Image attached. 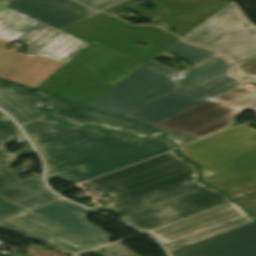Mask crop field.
<instances>
[{"label":"crop field","instance_id":"8a807250","mask_svg":"<svg viewBox=\"0 0 256 256\" xmlns=\"http://www.w3.org/2000/svg\"><path fill=\"white\" fill-rule=\"evenodd\" d=\"M40 101L22 88L0 84V107L22 125L44 156L48 181L58 177L74 185L172 148L169 141L157 138L162 135L159 132L141 141L121 138L116 133L97 134V129L57 128L58 121L44 120L48 116L36 104Z\"/></svg>","mask_w":256,"mask_h":256},{"label":"crop field","instance_id":"ac0d7876","mask_svg":"<svg viewBox=\"0 0 256 256\" xmlns=\"http://www.w3.org/2000/svg\"><path fill=\"white\" fill-rule=\"evenodd\" d=\"M61 31L90 45L36 89L86 105L178 40L104 13ZM142 41L149 46L135 45Z\"/></svg>","mask_w":256,"mask_h":256},{"label":"crop field","instance_id":"34b2d1b8","mask_svg":"<svg viewBox=\"0 0 256 256\" xmlns=\"http://www.w3.org/2000/svg\"><path fill=\"white\" fill-rule=\"evenodd\" d=\"M235 75L256 79V55L235 65ZM232 68L213 74L172 92L123 116L149 123L197 139L228 128L236 116L256 102V86H241L246 81L231 74Z\"/></svg>","mask_w":256,"mask_h":256},{"label":"crop field","instance_id":"412701ff","mask_svg":"<svg viewBox=\"0 0 256 256\" xmlns=\"http://www.w3.org/2000/svg\"><path fill=\"white\" fill-rule=\"evenodd\" d=\"M229 201L226 195L198 182L196 168L118 195L96 210L120 213L146 231Z\"/></svg>","mask_w":256,"mask_h":256},{"label":"crop field","instance_id":"f4fd0767","mask_svg":"<svg viewBox=\"0 0 256 256\" xmlns=\"http://www.w3.org/2000/svg\"><path fill=\"white\" fill-rule=\"evenodd\" d=\"M201 165L203 180L236 198L256 191V129L247 125L179 149Z\"/></svg>","mask_w":256,"mask_h":256},{"label":"crop field","instance_id":"dd49c442","mask_svg":"<svg viewBox=\"0 0 256 256\" xmlns=\"http://www.w3.org/2000/svg\"><path fill=\"white\" fill-rule=\"evenodd\" d=\"M159 55L169 59L175 57L164 52ZM158 56L111 88L89 106L122 115L172 91L229 67L224 60L217 56L190 68L183 73V75H185L183 78L175 80L174 78L179 76L184 70L178 68L168 69L153 62ZM192 63L196 64V62Z\"/></svg>","mask_w":256,"mask_h":256},{"label":"crop field","instance_id":"e52e79f7","mask_svg":"<svg viewBox=\"0 0 256 256\" xmlns=\"http://www.w3.org/2000/svg\"><path fill=\"white\" fill-rule=\"evenodd\" d=\"M181 39L219 53L231 65L256 54V26L234 1Z\"/></svg>","mask_w":256,"mask_h":256},{"label":"crop field","instance_id":"d8731c3e","mask_svg":"<svg viewBox=\"0 0 256 256\" xmlns=\"http://www.w3.org/2000/svg\"><path fill=\"white\" fill-rule=\"evenodd\" d=\"M0 38L33 45L27 50L68 62L88 44L8 8L0 12Z\"/></svg>","mask_w":256,"mask_h":256},{"label":"crop field","instance_id":"5a996713","mask_svg":"<svg viewBox=\"0 0 256 256\" xmlns=\"http://www.w3.org/2000/svg\"><path fill=\"white\" fill-rule=\"evenodd\" d=\"M36 93L42 95L43 98L48 100L46 103L49 105L48 109L55 110V112L48 114L52 115L54 118L62 119L69 123L80 126L92 124L94 126H100L102 129L116 130L141 138L145 137L150 131L158 129L165 132L167 134L165 138L173 140L177 146L197 140L47 93L40 91Z\"/></svg>","mask_w":256,"mask_h":256},{"label":"crop field","instance_id":"3316defc","mask_svg":"<svg viewBox=\"0 0 256 256\" xmlns=\"http://www.w3.org/2000/svg\"><path fill=\"white\" fill-rule=\"evenodd\" d=\"M191 168H194L192 163L170 152L85 183L92 187L88 190L97 194L111 192L118 195Z\"/></svg>","mask_w":256,"mask_h":256},{"label":"crop field","instance_id":"28ad6ade","mask_svg":"<svg viewBox=\"0 0 256 256\" xmlns=\"http://www.w3.org/2000/svg\"><path fill=\"white\" fill-rule=\"evenodd\" d=\"M0 228L22 234L71 256L101 246L29 212L1 221Z\"/></svg>","mask_w":256,"mask_h":256},{"label":"crop field","instance_id":"d1516ede","mask_svg":"<svg viewBox=\"0 0 256 256\" xmlns=\"http://www.w3.org/2000/svg\"><path fill=\"white\" fill-rule=\"evenodd\" d=\"M240 207L255 222L173 251L171 255L256 256V210Z\"/></svg>","mask_w":256,"mask_h":256},{"label":"crop field","instance_id":"22f410ed","mask_svg":"<svg viewBox=\"0 0 256 256\" xmlns=\"http://www.w3.org/2000/svg\"><path fill=\"white\" fill-rule=\"evenodd\" d=\"M243 216L246 214L241 208L229 201L146 232L161 242L170 244Z\"/></svg>","mask_w":256,"mask_h":256},{"label":"crop field","instance_id":"cbeb9de0","mask_svg":"<svg viewBox=\"0 0 256 256\" xmlns=\"http://www.w3.org/2000/svg\"><path fill=\"white\" fill-rule=\"evenodd\" d=\"M3 3L58 30L100 13L72 0H3Z\"/></svg>","mask_w":256,"mask_h":256},{"label":"crop field","instance_id":"5142ce71","mask_svg":"<svg viewBox=\"0 0 256 256\" xmlns=\"http://www.w3.org/2000/svg\"><path fill=\"white\" fill-rule=\"evenodd\" d=\"M0 40V77L36 88L64 63L35 55L33 57L3 49Z\"/></svg>","mask_w":256,"mask_h":256},{"label":"crop field","instance_id":"d9b57169","mask_svg":"<svg viewBox=\"0 0 256 256\" xmlns=\"http://www.w3.org/2000/svg\"><path fill=\"white\" fill-rule=\"evenodd\" d=\"M65 201L58 200L29 212L64 227L98 245L104 246L110 243L108 241L109 235L85 220L84 214L89 210Z\"/></svg>","mask_w":256,"mask_h":256},{"label":"crop field","instance_id":"733c2abd","mask_svg":"<svg viewBox=\"0 0 256 256\" xmlns=\"http://www.w3.org/2000/svg\"><path fill=\"white\" fill-rule=\"evenodd\" d=\"M230 1L232 0H184L179 2L184 10L174 12L157 22L167 25L164 29L171 26L181 29L175 32L166 30L182 37Z\"/></svg>","mask_w":256,"mask_h":256},{"label":"crop field","instance_id":"4a817a6b","mask_svg":"<svg viewBox=\"0 0 256 256\" xmlns=\"http://www.w3.org/2000/svg\"><path fill=\"white\" fill-rule=\"evenodd\" d=\"M0 198L24 210L58 199L42 186L41 177L0 190Z\"/></svg>","mask_w":256,"mask_h":256},{"label":"crop field","instance_id":"bc2a9ffb","mask_svg":"<svg viewBox=\"0 0 256 256\" xmlns=\"http://www.w3.org/2000/svg\"><path fill=\"white\" fill-rule=\"evenodd\" d=\"M250 222H253V220L250 219L248 216H246V217H243V218H241V219L232 221V222H230V223L221 225V226H219V227L210 229V230H208V231H205V232L196 234V235H194V236L185 238V239H183V240L177 241V242H175V243H172V244H170V245H167L166 247H167V249L169 250V252H171V251H173V250L179 249V248H181V247H184V246H187V245H189V244L195 243V242H197V241L203 240V239H205V238L214 236V235H216V234H219V233L228 231V230H230V229H233V228H236V227L245 225V224L250 223Z\"/></svg>","mask_w":256,"mask_h":256},{"label":"crop field","instance_id":"214f88e0","mask_svg":"<svg viewBox=\"0 0 256 256\" xmlns=\"http://www.w3.org/2000/svg\"><path fill=\"white\" fill-rule=\"evenodd\" d=\"M151 3L155 4L157 8L147 9L140 4H135L132 6L131 10L151 19L156 22L160 17L167 16L170 13L183 9L175 0H149Z\"/></svg>","mask_w":256,"mask_h":256},{"label":"crop field","instance_id":"92a150f3","mask_svg":"<svg viewBox=\"0 0 256 256\" xmlns=\"http://www.w3.org/2000/svg\"><path fill=\"white\" fill-rule=\"evenodd\" d=\"M164 52H167L169 54H176L179 57H183L196 62L206 60L216 55L213 52L205 51L179 41L175 42L173 45L167 48Z\"/></svg>","mask_w":256,"mask_h":256},{"label":"crop field","instance_id":"dafd665d","mask_svg":"<svg viewBox=\"0 0 256 256\" xmlns=\"http://www.w3.org/2000/svg\"><path fill=\"white\" fill-rule=\"evenodd\" d=\"M15 137H23L12 120L0 121V163L14 161V157L3 148V143L11 141Z\"/></svg>","mask_w":256,"mask_h":256},{"label":"crop field","instance_id":"00972430","mask_svg":"<svg viewBox=\"0 0 256 256\" xmlns=\"http://www.w3.org/2000/svg\"><path fill=\"white\" fill-rule=\"evenodd\" d=\"M8 164H0V189L21 182V180L10 171Z\"/></svg>","mask_w":256,"mask_h":256},{"label":"crop field","instance_id":"a9b5d70f","mask_svg":"<svg viewBox=\"0 0 256 256\" xmlns=\"http://www.w3.org/2000/svg\"><path fill=\"white\" fill-rule=\"evenodd\" d=\"M77 1H79L80 3L90 8H93L99 11H105L127 0H77Z\"/></svg>","mask_w":256,"mask_h":256},{"label":"crop field","instance_id":"4177f3b9","mask_svg":"<svg viewBox=\"0 0 256 256\" xmlns=\"http://www.w3.org/2000/svg\"><path fill=\"white\" fill-rule=\"evenodd\" d=\"M24 211L0 199V219Z\"/></svg>","mask_w":256,"mask_h":256},{"label":"crop field","instance_id":"730fd06b","mask_svg":"<svg viewBox=\"0 0 256 256\" xmlns=\"http://www.w3.org/2000/svg\"><path fill=\"white\" fill-rule=\"evenodd\" d=\"M244 206L256 209V192L235 200Z\"/></svg>","mask_w":256,"mask_h":256},{"label":"crop field","instance_id":"eef30255","mask_svg":"<svg viewBox=\"0 0 256 256\" xmlns=\"http://www.w3.org/2000/svg\"><path fill=\"white\" fill-rule=\"evenodd\" d=\"M135 1H136V0H129V1H127V2H125V3H123V4H121V5L116 6V7L112 8V9H109V10H107V11H105V12L114 14V13H116V12H118V11H123V10L126 9L128 6H130L132 3H134Z\"/></svg>","mask_w":256,"mask_h":256},{"label":"crop field","instance_id":"ae1a2a85","mask_svg":"<svg viewBox=\"0 0 256 256\" xmlns=\"http://www.w3.org/2000/svg\"><path fill=\"white\" fill-rule=\"evenodd\" d=\"M27 147L21 150H18L12 154H14L17 157H21L23 155H29V154H33L34 152L32 151V149L30 148L29 144H25Z\"/></svg>","mask_w":256,"mask_h":256},{"label":"crop field","instance_id":"d3111659","mask_svg":"<svg viewBox=\"0 0 256 256\" xmlns=\"http://www.w3.org/2000/svg\"><path fill=\"white\" fill-rule=\"evenodd\" d=\"M7 119L9 118L0 111V120H7Z\"/></svg>","mask_w":256,"mask_h":256},{"label":"crop field","instance_id":"750c4746","mask_svg":"<svg viewBox=\"0 0 256 256\" xmlns=\"http://www.w3.org/2000/svg\"><path fill=\"white\" fill-rule=\"evenodd\" d=\"M85 205L89 206V207H92V206H95L96 204L92 201H89L87 203H84Z\"/></svg>","mask_w":256,"mask_h":256},{"label":"crop field","instance_id":"bd1437ed","mask_svg":"<svg viewBox=\"0 0 256 256\" xmlns=\"http://www.w3.org/2000/svg\"><path fill=\"white\" fill-rule=\"evenodd\" d=\"M248 110L256 113V103L254 105H252Z\"/></svg>","mask_w":256,"mask_h":256},{"label":"crop field","instance_id":"1d83c4d3","mask_svg":"<svg viewBox=\"0 0 256 256\" xmlns=\"http://www.w3.org/2000/svg\"><path fill=\"white\" fill-rule=\"evenodd\" d=\"M5 7V5L2 3V1H0V11L3 10Z\"/></svg>","mask_w":256,"mask_h":256},{"label":"crop field","instance_id":"120bbe31","mask_svg":"<svg viewBox=\"0 0 256 256\" xmlns=\"http://www.w3.org/2000/svg\"><path fill=\"white\" fill-rule=\"evenodd\" d=\"M236 125H239V123L235 121L230 127L236 126Z\"/></svg>","mask_w":256,"mask_h":256},{"label":"crop field","instance_id":"d32e631a","mask_svg":"<svg viewBox=\"0 0 256 256\" xmlns=\"http://www.w3.org/2000/svg\"><path fill=\"white\" fill-rule=\"evenodd\" d=\"M177 2H179V1H182V0H176Z\"/></svg>","mask_w":256,"mask_h":256},{"label":"crop field","instance_id":"5866460e","mask_svg":"<svg viewBox=\"0 0 256 256\" xmlns=\"http://www.w3.org/2000/svg\"><path fill=\"white\" fill-rule=\"evenodd\" d=\"M14 156V155H13ZM15 157V156H14ZM17 158V157H16Z\"/></svg>","mask_w":256,"mask_h":256}]
</instances>
